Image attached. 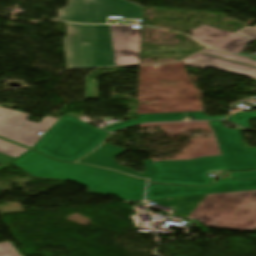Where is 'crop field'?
Segmentation results:
<instances>
[{"label": "crop field", "mask_w": 256, "mask_h": 256, "mask_svg": "<svg viewBox=\"0 0 256 256\" xmlns=\"http://www.w3.org/2000/svg\"><path fill=\"white\" fill-rule=\"evenodd\" d=\"M219 147L222 156L182 161H144L146 171L143 174L137 173L127 167L117 165L118 163L116 164L113 158L127 149L106 143H103L96 151L77 163L108 168L132 175L136 178L155 182L198 186L211 184L210 179L205 174L208 170L230 169L234 171L256 169V149H243L242 142L223 144Z\"/></svg>", "instance_id": "obj_1"}, {"label": "crop field", "mask_w": 256, "mask_h": 256, "mask_svg": "<svg viewBox=\"0 0 256 256\" xmlns=\"http://www.w3.org/2000/svg\"><path fill=\"white\" fill-rule=\"evenodd\" d=\"M67 69L139 64L141 29L66 23Z\"/></svg>", "instance_id": "obj_2"}, {"label": "crop field", "mask_w": 256, "mask_h": 256, "mask_svg": "<svg viewBox=\"0 0 256 256\" xmlns=\"http://www.w3.org/2000/svg\"><path fill=\"white\" fill-rule=\"evenodd\" d=\"M35 177L71 180L92 192L116 195L132 201L143 199L145 181L89 166L55 161L30 150L11 162Z\"/></svg>", "instance_id": "obj_3"}, {"label": "crop field", "mask_w": 256, "mask_h": 256, "mask_svg": "<svg viewBox=\"0 0 256 256\" xmlns=\"http://www.w3.org/2000/svg\"><path fill=\"white\" fill-rule=\"evenodd\" d=\"M180 197L152 200L174 208ZM209 227L256 231V190L207 195L188 217Z\"/></svg>", "instance_id": "obj_4"}, {"label": "crop field", "mask_w": 256, "mask_h": 256, "mask_svg": "<svg viewBox=\"0 0 256 256\" xmlns=\"http://www.w3.org/2000/svg\"><path fill=\"white\" fill-rule=\"evenodd\" d=\"M108 134L66 114L32 149L73 162L95 149Z\"/></svg>", "instance_id": "obj_5"}, {"label": "crop field", "mask_w": 256, "mask_h": 256, "mask_svg": "<svg viewBox=\"0 0 256 256\" xmlns=\"http://www.w3.org/2000/svg\"><path fill=\"white\" fill-rule=\"evenodd\" d=\"M107 15L141 17L142 7L124 0H69L68 7L59 10L58 20L106 23Z\"/></svg>", "instance_id": "obj_6"}, {"label": "crop field", "mask_w": 256, "mask_h": 256, "mask_svg": "<svg viewBox=\"0 0 256 256\" xmlns=\"http://www.w3.org/2000/svg\"><path fill=\"white\" fill-rule=\"evenodd\" d=\"M28 117L29 114L0 107V137L32 148L42 138L37 134L45 133L57 120L45 116L37 124L26 121Z\"/></svg>", "instance_id": "obj_7"}, {"label": "crop field", "mask_w": 256, "mask_h": 256, "mask_svg": "<svg viewBox=\"0 0 256 256\" xmlns=\"http://www.w3.org/2000/svg\"><path fill=\"white\" fill-rule=\"evenodd\" d=\"M256 189V180H220L215 185L206 188L178 187L148 183L146 199H158L177 196L212 194L221 192L241 191Z\"/></svg>", "instance_id": "obj_8"}, {"label": "crop field", "mask_w": 256, "mask_h": 256, "mask_svg": "<svg viewBox=\"0 0 256 256\" xmlns=\"http://www.w3.org/2000/svg\"><path fill=\"white\" fill-rule=\"evenodd\" d=\"M184 64L190 65L193 67H197L202 69L203 67H211L239 75H243L246 77L254 78L256 79V68L227 61L224 59L204 55V54H196L186 60L183 61Z\"/></svg>", "instance_id": "obj_9"}, {"label": "crop field", "mask_w": 256, "mask_h": 256, "mask_svg": "<svg viewBox=\"0 0 256 256\" xmlns=\"http://www.w3.org/2000/svg\"><path fill=\"white\" fill-rule=\"evenodd\" d=\"M183 116H194L196 120L206 119L204 112L194 113H166V114H144L137 115V120H129L103 128L109 132L136 125L142 122L175 121L183 120Z\"/></svg>", "instance_id": "obj_10"}, {"label": "crop field", "mask_w": 256, "mask_h": 256, "mask_svg": "<svg viewBox=\"0 0 256 256\" xmlns=\"http://www.w3.org/2000/svg\"><path fill=\"white\" fill-rule=\"evenodd\" d=\"M229 34L231 33L207 25H202L191 31V37L207 46Z\"/></svg>", "instance_id": "obj_11"}, {"label": "crop field", "mask_w": 256, "mask_h": 256, "mask_svg": "<svg viewBox=\"0 0 256 256\" xmlns=\"http://www.w3.org/2000/svg\"><path fill=\"white\" fill-rule=\"evenodd\" d=\"M28 150V148L0 138V164L11 162L14 158Z\"/></svg>", "instance_id": "obj_12"}, {"label": "crop field", "mask_w": 256, "mask_h": 256, "mask_svg": "<svg viewBox=\"0 0 256 256\" xmlns=\"http://www.w3.org/2000/svg\"><path fill=\"white\" fill-rule=\"evenodd\" d=\"M251 41L252 40L250 39L234 34L210 47L238 53L244 50L246 47V44Z\"/></svg>", "instance_id": "obj_13"}, {"label": "crop field", "mask_w": 256, "mask_h": 256, "mask_svg": "<svg viewBox=\"0 0 256 256\" xmlns=\"http://www.w3.org/2000/svg\"><path fill=\"white\" fill-rule=\"evenodd\" d=\"M214 134L220 135L224 143L242 141L240 132L244 129L236 127V129H229L223 127L221 121H208Z\"/></svg>", "instance_id": "obj_14"}, {"label": "crop field", "mask_w": 256, "mask_h": 256, "mask_svg": "<svg viewBox=\"0 0 256 256\" xmlns=\"http://www.w3.org/2000/svg\"><path fill=\"white\" fill-rule=\"evenodd\" d=\"M200 53H204V54H208V55H212V56H216V57H220V58H224V59H228V60H232V61H236V62H240V63H244V64H248V65L256 67V61L250 60L247 57L226 54V53L218 52V51H213L209 48L201 51Z\"/></svg>", "instance_id": "obj_15"}, {"label": "crop field", "mask_w": 256, "mask_h": 256, "mask_svg": "<svg viewBox=\"0 0 256 256\" xmlns=\"http://www.w3.org/2000/svg\"><path fill=\"white\" fill-rule=\"evenodd\" d=\"M256 118V112L238 113L228 118V120L235 122L238 125L250 128L248 125V119Z\"/></svg>", "instance_id": "obj_16"}, {"label": "crop field", "mask_w": 256, "mask_h": 256, "mask_svg": "<svg viewBox=\"0 0 256 256\" xmlns=\"http://www.w3.org/2000/svg\"><path fill=\"white\" fill-rule=\"evenodd\" d=\"M0 256H22L20 255L10 241L0 244Z\"/></svg>", "instance_id": "obj_17"}, {"label": "crop field", "mask_w": 256, "mask_h": 256, "mask_svg": "<svg viewBox=\"0 0 256 256\" xmlns=\"http://www.w3.org/2000/svg\"><path fill=\"white\" fill-rule=\"evenodd\" d=\"M88 98H97V79L88 78Z\"/></svg>", "instance_id": "obj_18"}, {"label": "crop field", "mask_w": 256, "mask_h": 256, "mask_svg": "<svg viewBox=\"0 0 256 256\" xmlns=\"http://www.w3.org/2000/svg\"><path fill=\"white\" fill-rule=\"evenodd\" d=\"M231 178L235 179H251L256 178V171H247V172H235L230 173Z\"/></svg>", "instance_id": "obj_19"}, {"label": "crop field", "mask_w": 256, "mask_h": 256, "mask_svg": "<svg viewBox=\"0 0 256 256\" xmlns=\"http://www.w3.org/2000/svg\"><path fill=\"white\" fill-rule=\"evenodd\" d=\"M236 34L242 35L244 37L250 38L252 40H256V30L245 28L237 32Z\"/></svg>", "instance_id": "obj_20"}, {"label": "crop field", "mask_w": 256, "mask_h": 256, "mask_svg": "<svg viewBox=\"0 0 256 256\" xmlns=\"http://www.w3.org/2000/svg\"><path fill=\"white\" fill-rule=\"evenodd\" d=\"M224 117H226V116H212V117H207V119H221Z\"/></svg>", "instance_id": "obj_21"}, {"label": "crop field", "mask_w": 256, "mask_h": 256, "mask_svg": "<svg viewBox=\"0 0 256 256\" xmlns=\"http://www.w3.org/2000/svg\"><path fill=\"white\" fill-rule=\"evenodd\" d=\"M215 137H216V139H217L218 144H219V145L222 144V141H221L220 137H219V136H215Z\"/></svg>", "instance_id": "obj_22"}, {"label": "crop field", "mask_w": 256, "mask_h": 256, "mask_svg": "<svg viewBox=\"0 0 256 256\" xmlns=\"http://www.w3.org/2000/svg\"><path fill=\"white\" fill-rule=\"evenodd\" d=\"M253 28H256V26H254Z\"/></svg>", "instance_id": "obj_23"}]
</instances>
